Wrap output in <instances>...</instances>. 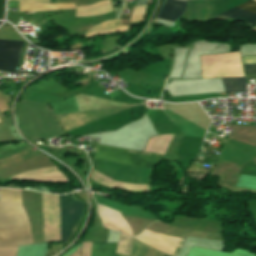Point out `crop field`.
Here are the masks:
<instances>
[{
  "label": "crop field",
  "instance_id": "8a807250",
  "mask_svg": "<svg viewBox=\"0 0 256 256\" xmlns=\"http://www.w3.org/2000/svg\"><path fill=\"white\" fill-rule=\"evenodd\" d=\"M31 234L20 190L0 189V237ZM33 243L31 235L0 238V247Z\"/></svg>",
  "mask_w": 256,
  "mask_h": 256
},
{
  "label": "crop field",
  "instance_id": "ac0d7876",
  "mask_svg": "<svg viewBox=\"0 0 256 256\" xmlns=\"http://www.w3.org/2000/svg\"><path fill=\"white\" fill-rule=\"evenodd\" d=\"M84 203L62 195L59 241H67L82 216Z\"/></svg>",
  "mask_w": 256,
  "mask_h": 256
},
{
  "label": "crop field",
  "instance_id": "34b2d1b8",
  "mask_svg": "<svg viewBox=\"0 0 256 256\" xmlns=\"http://www.w3.org/2000/svg\"><path fill=\"white\" fill-rule=\"evenodd\" d=\"M96 151V148H95ZM137 153V152H136ZM146 155L147 153H140ZM127 152L126 150L97 146L96 157L98 159L138 165L146 168L152 167L158 155L148 154L147 156Z\"/></svg>",
  "mask_w": 256,
  "mask_h": 256
},
{
  "label": "crop field",
  "instance_id": "412701ff",
  "mask_svg": "<svg viewBox=\"0 0 256 256\" xmlns=\"http://www.w3.org/2000/svg\"><path fill=\"white\" fill-rule=\"evenodd\" d=\"M135 239L143 242L144 244L158 249L164 253L171 255L173 249L175 248L176 244L178 243L179 239L161 235L156 232L145 230L141 235L135 237ZM184 240L180 239L179 243L177 244L176 248L174 249L172 256H175L178 250L180 249L181 245L183 244Z\"/></svg>",
  "mask_w": 256,
  "mask_h": 256
},
{
  "label": "crop field",
  "instance_id": "f4fd0767",
  "mask_svg": "<svg viewBox=\"0 0 256 256\" xmlns=\"http://www.w3.org/2000/svg\"><path fill=\"white\" fill-rule=\"evenodd\" d=\"M23 42L0 40V70L15 71Z\"/></svg>",
  "mask_w": 256,
  "mask_h": 256
},
{
  "label": "crop field",
  "instance_id": "dd49c442",
  "mask_svg": "<svg viewBox=\"0 0 256 256\" xmlns=\"http://www.w3.org/2000/svg\"><path fill=\"white\" fill-rule=\"evenodd\" d=\"M99 207V214L103 221V225L106 228H111L114 230H121L122 232L127 233L128 235L132 236V231L130 226L125 222L119 212L109 209L107 207L101 206L98 204Z\"/></svg>",
  "mask_w": 256,
  "mask_h": 256
},
{
  "label": "crop field",
  "instance_id": "e52e79f7",
  "mask_svg": "<svg viewBox=\"0 0 256 256\" xmlns=\"http://www.w3.org/2000/svg\"><path fill=\"white\" fill-rule=\"evenodd\" d=\"M10 178L67 182V177L56 166L28 171Z\"/></svg>",
  "mask_w": 256,
  "mask_h": 256
},
{
  "label": "crop field",
  "instance_id": "d8731c3e",
  "mask_svg": "<svg viewBox=\"0 0 256 256\" xmlns=\"http://www.w3.org/2000/svg\"><path fill=\"white\" fill-rule=\"evenodd\" d=\"M11 1L50 2L51 0H11ZM69 8H75V5L72 3L46 4V3L19 2V11H50V10L69 9Z\"/></svg>",
  "mask_w": 256,
  "mask_h": 256
},
{
  "label": "crop field",
  "instance_id": "5a996713",
  "mask_svg": "<svg viewBox=\"0 0 256 256\" xmlns=\"http://www.w3.org/2000/svg\"><path fill=\"white\" fill-rule=\"evenodd\" d=\"M236 8L252 11L256 13V3L250 0H243L241 3H239ZM234 8L229 14H227L226 17H235L237 19H241L251 25L256 23V14L240 9ZM223 18V19H224Z\"/></svg>",
  "mask_w": 256,
  "mask_h": 256
},
{
  "label": "crop field",
  "instance_id": "3316defc",
  "mask_svg": "<svg viewBox=\"0 0 256 256\" xmlns=\"http://www.w3.org/2000/svg\"><path fill=\"white\" fill-rule=\"evenodd\" d=\"M186 8V3L178 0H166L161 13L157 18L167 19L174 21L176 18L182 16Z\"/></svg>",
  "mask_w": 256,
  "mask_h": 256
},
{
  "label": "crop field",
  "instance_id": "28ad6ade",
  "mask_svg": "<svg viewBox=\"0 0 256 256\" xmlns=\"http://www.w3.org/2000/svg\"><path fill=\"white\" fill-rule=\"evenodd\" d=\"M117 243H93L91 256H120L115 254Z\"/></svg>",
  "mask_w": 256,
  "mask_h": 256
},
{
  "label": "crop field",
  "instance_id": "d1516ede",
  "mask_svg": "<svg viewBox=\"0 0 256 256\" xmlns=\"http://www.w3.org/2000/svg\"><path fill=\"white\" fill-rule=\"evenodd\" d=\"M223 81L227 92H247L244 78H224Z\"/></svg>",
  "mask_w": 256,
  "mask_h": 256
},
{
  "label": "crop field",
  "instance_id": "22f410ed",
  "mask_svg": "<svg viewBox=\"0 0 256 256\" xmlns=\"http://www.w3.org/2000/svg\"><path fill=\"white\" fill-rule=\"evenodd\" d=\"M132 241V238L120 233L116 253L130 256Z\"/></svg>",
  "mask_w": 256,
  "mask_h": 256
},
{
  "label": "crop field",
  "instance_id": "cbeb9de0",
  "mask_svg": "<svg viewBox=\"0 0 256 256\" xmlns=\"http://www.w3.org/2000/svg\"><path fill=\"white\" fill-rule=\"evenodd\" d=\"M242 64H256V57L242 58ZM245 73H256V65H243ZM247 79L256 78V74H246Z\"/></svg>",
  "mask_w": 256,
  "mask_h": 256
},
{
  "label": "crop field",
  "instance_id": "5142ce71",
  "mask_svg": "<svg viewBox=\"0 0 256 256\" xmlns=\"http://www.w3.org/2000/svg\"><path fill=\"white\" fill-rule=\"evenodd\" d=\"M17 247L0 248V256H16Z\"/></svg>",
  "mask_w": 256,
  "mask_h": 256
},
{
  "label": "crop field",
  "instance_id": "d9b57169",
  "mask_svg": "<svg viewBox=\"0 0 256 256\" xmlns=\"http://www.w3.org/2000/svg\"><path fill=\"white\" fill-rule=\"evenodd\" d=\"M92 243H83L82 255L90 256Z\"/></svg>",
  "mask_w": 256,
  "mask_h": 256
},
{
  "label": "crop field",
  "instance_id": "733c2abd",
  "mask_svg": "<svg viewBox=\"0 0 256 256\" xmlns=\"http://www.w3.org/2000/svg\"><path fill=\"white\" fill-rule=\"evenodd\" d=\"M4 2H5V0H0V19H3V14H4Z\"/></svg>",
  "mask_w": 256,
  "mask_h": 256
},
{
  "label": "crop field",
  "instance_id": "4a817a6b",
  "mask_svg": "<svg viewBox=\"0 0 256 256\" xmlns=\"http://www.w3.org/2000/svg\"><path fill=\"white\" fill-rule=\"evenodd\" d=\"M2 21H0V23H1Z\"/></svg>",
  "mask_w": 256,
  "mask_h": 256
},
{
  "label": "crop field",
  "instance_id": "bc2a9ffb",
  "mask_svg": "<svg viewBox=\"0 0 256 256\" xmlns=\"http://www.w3.org/2000/svg\"><path fill=\"white\" fill-rule=\"evenodd\" d=\"M163 256H165V255H163Z\"/></svg>",
  "mask_w": 256,
  "mask_h": 256
},
{
  "label": "crop field",
  "instance_id": "214f88e0",
  "mask_svg": "<svg viewBox=\"0 0 256 256\" xmlns=\"http://www.w3.org/2000/svg\"><path fill=\"white\" fill-rule=\"evenodd\" d=\"M1 122V121H0Z\"/></svg>",
  "mask_w": 256,
  "mask_h": 256
}]
</instances>
